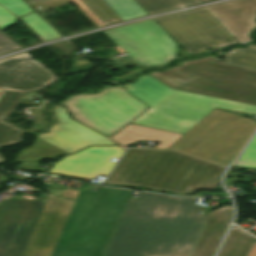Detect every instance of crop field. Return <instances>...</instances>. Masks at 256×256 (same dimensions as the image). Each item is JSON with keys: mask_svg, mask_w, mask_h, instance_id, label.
<instances>
[{"mask_svg": "<svg viewBox=\"0 0 256 256\" xmlns=\"http://www.w3.org/2000/svg\"><path fill=\"white\" fill-rule=\"evenodd\" d=\"M196 198L141 192L132 212L124 211L104 256L191 255L206 222Z\"/></svg>", "mask_w": 256, "mask_h": 256, "instance_id": "obj_1", "label": "crop field"}, {"mask_svg": "<svg viewBox=\"0 0 256 256\" xmlns=\"http://www.w3.org/2000/svg\"><path fill=\"white\" fill-rule=\"evenodd\" d=\"M223 170L224 167L174 151L136 149L128 150L106 183L182 195L198 189L216 190Z\"/></svg>", "mask_w": 256, "mask_h": 256, "instance_id": "obj_2", "label": "crop field"}, {"mask_svg": "<svg viewBox=\"0 0 256 256\" xmlns=\"http://www.w3.org/2000/svg\"><path fill=\"white\" fill-rule=\"evenodd\" d=\"M132 192L81 190L51 256H103Z\"/></svg>", "mask_w": 256, "mask_h": 256, "instance_id": "obj_3", "label": "crop field"}, {"mask_svg": "<svg viewBox=\"0 0 256 256\" xmlns=\"http://www.w3.org/2000/svg\"><path fill=\"white\" fill-rule=\"evenodd\" d=\"M151 108L133 124L185 134L215 107L256 115V106L171 89L148 75L124 86Z\"/></svg>", "mask_w": 256, "mask_h": 256, "instance_id": "obj_4", "label": "crop field"}, {"mask_svg": "<svg viewBox=\"0 0 256 256\" xmlns=\"http://www.w3.org/2000/svg\"><path fill=\"white\" fill-rule=\"evenodd\" d=\"M181 64L149 75L171 88L256 105V72L223 64L214 56Z\"/></svg>", "mask_w": 256, "mask_h": 256, "instance_id": "obj_5", "label": "crop field"}, {"mask_svg": "<svg viewBox=\"0 0 256 256\" xmlns=\"http://www.w3.org/2000/svg\"><path fill=\"white\" fill-rule=\"evenodd\" d=\"M256 122L215 108L168 149L228 166Z\"/></svg>", "mask_w": 256, "mask_h": 256, "instance_id": "obj_6", "label": "crop field"}, {"mask_svg": "<svg viewBox=\"0 0 256 256\" xmlns=\"http://www.w3.org/2000/svg\"><path fill=\"white\" fill-rule=\"evenodd\" d=\"M60 105L68 108L72 118L107 137L148 109L122 86H106L98 94L72 95Z\"/></svg>", "mask_w": 256, "mask_h": 256, "instance_id": "obj_7", "label": "crop field"}, {"mask_svg": "<svg viewBox=\"0 0 256 256\" xmlns=\"http://www.w3.org/2000/svg\"><path fill=\"white\" fill-rule=\"evenodd\" d=\"M27 52L0 60V148L22 142L25 131L4 121L24 92L39 90L56 78ZM5 159L0 154V162ZM1 164V163H0Z\"/></svg>", "mask_w": 256, "mask_h": 256, "instance_id": "obj_8", "label": "crop field"}, {"mask_svg": "<svg viewBox=\"0 0 256 256\" xmlns=\"http://www.w3.org/2000/svg\"><path fill=\"white\" fill-rule=\"evenodd\" d=\"M104 33L135 63L147 66L162 64L176 55V43L153 20L140 22Z\"/></svg>", "mask_w": 256, "mask_h": 256, "instance_id": "obj_9", "label": "crop field"}, {"mask_svg": "<svg viewBox=\"0 0 256 256\" xmlns=\"http://www.w3.org/2000/svg\"><path fill=\"white\" fill-rule=\"evenodd\" d=\"M184 48L227 46L234 37L206 7L155 19Z\"/></svg>", "mask_w": 256, "mask_h": 256, "instance_id": "obj_10", "label": "crop field"}, {"mask_svg": "<svg viewBox=\"0 0 256 256\" xmlns=\"http://www.w3.org/2000/svg\"><path fill=\"white\" fill-rule=\"evenodd\" d=\"M45 199H6L0 203V256H23Z\"/></svg>", "mask_w": 256, "mask_h": 256, "instance_id": "obj_11", "label": "crop field"}, {"mask_svg": "<svg viewBox=\"0 0 256 256\" xmlns=\"http://www.w3.org/2000/svg\"><path fill=\"white\" fill-rule=\"evenodd\" d=\"M74 200L48 195L24 256H50L68 218Z\"/></svg>", "mask_w": 256, "mask_h": 256, "instance_id": "obj_12", "label": "crop field"}, {"mask_svg": "<svg viewBox=\"0 0 256 256\" xmlns=\"http://www.w3.org/2000/svg\"><path fill=\"white\" fill-rule=\"evenodd\" d=\"M58 122L38 138L73 154L89 145H115L107 138L72 120L61 106H54Z\"/></svg>", "mask_w": 256, "mask_h": 256, "instance_id": "obj_13", "label": "crop field"}, {"mask_svg": "<svg viewBox=\"0 0 256 256\" xmlns=\"http://www.w3.org/2000/svg\"><path fill=\"white\" fill-rule=\"evenodd\" d=\"M123 150L119 146L90 147L74 155H67L49 171L61 174L92 178L97 174L107 175L115 164L114 156L120 157Z\"/></svg>", "mask_w": 256, "mask_h": 256, "instance_id": "obj_14", "label": "crop field"}, {"mask_svg": "<svg viewBox=\"0 0 256 256\" xmlns=\"http://www.w3.org/2000/svg\"><path fill=\"white\" fill-rule=\"evenodd\" d=\"M31 5L44 0H27ZM98 27L147 14L133 0H71Z\"/></svg>", "mask_w": 256, "mask_h": 256, "instance_id": "obj_15", "label": "crop field"}, {"mask_svg": "<svg viewBox=\"0 0 256 256\" xmlns=\"http://www.w3.org/2000/svg\"><path fill=\"white\" fill-rule=\"evenodd\" d=\"M207 8L237 41L242 44L251 41L247 35L256 25V0H235Z\"/></svg>", "mask_w": 256, "mask_h": 256, "instance_id": "obj_16", "label": "crop field"}, {"mask_svg": "<svg viewBox=\"0 0 256 256\" xmlns=\"http://www.w3.org/2000/svg\"><path fill=\"white\" fill-rule=\"evenodd\" d=\"M231 217L232 206H223L209 213L204 219L207 223L192 256H213Z\"/></svg>", "mask_w": 256, "mask_h": 256, "instance_id": "obj_17", "label": "crop field"}, {"mask_svg": "<svg viewBox=\"0 0 256 256\" xmlns=\"http://www.w3.org/2000/svg\"><path fill=\"white\" fill-rule=\"evenodd\" d=\"M255 241L253 237L232 226L218 256H247Z\"/></svg>", "mask_w": 256, "mask_h": 256, "instance_id": "obj_18", "label": "crop field"}, {"mask_svg": "<svg viewBox=\"0 0 256 256\" xmlns=\"http://www.w3.org/2000/svg\"><path fill=\"white\" fill-rule=\"evenodd\" d=\"M60 153L65 152L37 138L33 146L20 151L15 161L51 158Z\"/></svg>", "mask_w": 256, "mask_h": 256, "instance_id": "obj_19", "label": "crop field"}, {"mask_svg": "<svg viewBox=\"0 0 256 256\" xmlns=\"http://www.w3.org/2000/svg\"><path fill=\"white\" fill-rule=\"evenodd\" d=\"M223 57L227 63L256 70V50L237 48L227 52Z\"/></svg>", "mask_w": 256, "mask_h": 256, "instance_id": "obj_20", "label": "crop field"}, {"mask_svg": "<svg viewBox=\"0 0 256 256\" xmlns=\"http://www.w3.org/2000/svg\"><path fill=\"white\" fill-rule=\"evenodd\" d=\"M149 14L169 10L177 7H184L196 3H200L199 0H177L181 6L175 0H136Z\"/></svg>", "mask_w": 256, "mask_h": 256, "instance_id": "obj_21", "label": "crop field"}, {"mask_svg": "<svg viewBox=\"0 0 256 256\" xmlns=\"http://www.w3.org/2000/svg\"><path fill=\"white\" fill-rule=\"evenodd\" d=\"M45 41L60 38L61 36L46 24L35 12L21 17Z\"/></svg>", "mask_w": 256, "mask_h": 256, "instance_id": "obj_22", "label": "crop field"}, {"mask_svg": "<svg viewBox=\"0 0 256 256\" xmlns=\"http://www.w3.org/2000/svg\"><path fill=\"white\" fill-rule=\"evenodd\" d=\"M233 166L256 168V135Z\"/></svg>", "mask_w": 256, "mask_h": 256, "instance_id": "obj_23", "label": "crop field"}, {"mask_svg": "<svg viewBox=\"0 0 256 256\" xmlns=\"http://www.w3.org/2000/svg\"><path fill=\"white\" fill-rule=\"evenodd\" d=\"M0 5L10 10L18 17L32 11V9L22 0H0Z\"/></svg>", "mask_w": 256, "mask_h": 256, "instance_id": "obj_24", "label": "crop field"}, {"mask_svg": "<svg viewBox=\"0 0 256 256\" xmlns=\"http://www.w3.org/2000/svg\"><path fill=\"white\" fill-rule=\"evenodd\" d=\"M18 49L21 47L0 30V55Z\"/></svg>", "mask_w": 256, "mask_h": 256, "instance_id": "obj_25", "label": "crop field"}, {"mask_svg": "<svg viewBox=\"0 0 256 256\" xmlns=\"http://www.w3.org/2000/svg\"><path fill=\"white\" fill-rule=\"evenodd\" d=\"M17 18L0 7V29L3 30L15 23Z\"/></svg>", "mask_w": 256, "mask_h": 256, "instance_id": "obj_26", "label": "crop field"}, {"mask_svg": "<svg viewBox=\"0 0 256 256\" xmlns=\"http://www.w3.org/2000/svg\"><path fill=\"white\" fill-rule=\"evenodd\" d=\"M37 162L38 161L22 162V164L19 166V168L32 170L33 167L37 164Z\"/></svg>", "mask_w": 256, "mask_h": 256, "instance_id": "obj_27", "label": "crop field"}, {"mask_svg": "<svg viewBox=\"0 0 256 256\" xmlns=\"http://www.w3.org/2000/svg\"><path fill=\"white\" fill-rule=\"evenodd\" d=\"M136 201H137V200L129 201L128 204H127V206H126V208H125V210L132 211V209H133V207H134Z\"/></svg>", "mask_w": 256, "mask_h": 256, "instance_id": "obj_28", "label": "crop field"}, {"mask_svg": "<svg viewBox=\"0 0 256 256\" xmlns=\"http://www.w3.org/2000/svg\"><path fill=\"white\" fill-rule=\"evenodd\" d=\"M248 256H256V242L253 245V247H252V249H251V251H250Z\"/></svg>", "mask_w": 256, "mask_h": 256, "instance_id": "obj_29", "label": "crop field"}, {"mask_svg": "<svg viewBox=\"0 0 256 256\" xmlns=\"http://www.w3.org/2000/svg\"><path fill=\"white\" fill-rule=\"evenodd\" d=\"M209 48H213V47L191 48V49H186V50L188 52H191V51H197V50H203V49H209Z\"/></svg>", "mask_w": 256, "mask_h": 256, "instance_id": "obj_30", "label": "crop field"}, {"mask_svg": "<svg viewBox=\"0 0 256 256\" xmlns=\"http://www.w3.org/2000/svg\"><path fill=\"white\" fill-rule=\"evenodd\" d=\"M51 190V192L53 193V194H55V195H57V196H60V194H61V192L62 191H59V190H53V189H50Z\"/></svg>", "mask_w": 256, "mask_h": 256, "instance_id": "obj_31", "label": "crop field"}, {"mask_svg": "<svg viewBox=\"0 0 256 256\" xmlns=\"http://www.w3.org/2000/svg\"><path fill=\"white\" fill-rule=\"evenodd\" d=\"M6 180H7L6 177H2V176L0 175V181H6Z\"/></svg>", "mask_w": 256, "mask_h": 256, "instance_id": "obj_32", "label": "crop field"}, {"mask_svg": "<svg viewBox=\"0 0 256 256\" xmlns=\"http://www.w3.org/2000/svg\"><path fill=\"white\" fill-rule=\"evenodd\" d=\"M247 46L250 47V48L256 49L255 45L250 44V45H247Z\"/></svg>", "mask_w": 256, "mask_h": 256, "instance_id": "obj_33", "label": "crop field"}, {"mask_svg": "<svg viewBox=\"0 0 256 256\" xmlns=\"http://www.w3.org/2000/svg\"><path fill=\"white\" fill-rule=\"evenodd\" d=\"M172 256H184V255H172Z\"/></svg>", "mask_w": 256, "mask_h": 256, "instance_id": "obj_34", "label": "crop field"}, {"mask_svg": "<svg viewBox=\"0 0 256 256\" xmlns=\"http://www.w3.org/2000/svg\"><path fill=\"white\" fill-rule=\"evenodd\" d=\"M201 2L208 1V0H200ZM209 2V1H208Z\"/></svg>", "mask_w": 256, "mask_h": 256, "instance_id": "obj_35", "label": "crop field"}]
</instances>
